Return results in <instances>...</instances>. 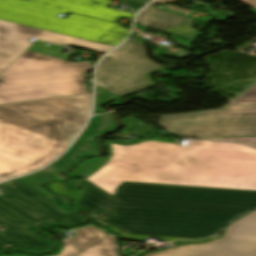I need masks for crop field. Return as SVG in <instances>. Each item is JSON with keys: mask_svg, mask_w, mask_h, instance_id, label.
I'll return each instance as SVG.
<instances>
[{"mask_svg": "<svg viewBox=\"0 0 256 256\" xmlns=\"http://www.w3.org/2000/svg\"><path fill=\"white\" fill-rule=\"evenodd\" d=\"M81 181L84 186L78 191L64 190L60 183L48 185L76 198V205L126 240L200 239L256 207V191L125 182L114 198Z\"/></svg>", "mask_w": 256, "mask_h": 256, "instance_id": "obj_1", "label": "crop field"}, {"mask_svg": "<svg viewBox=\"0 0 256 256\" xmlns=\"http://www.w3.org/2000/svg\"><path fill=\"white\" fill-rule=\"evenodd\" d=\"M111 148L112 158L87 180L112 196L125 181L256 190V149L244 144L146 141Z\"/></svg>", "mask_w": 256, "mask_h": 256, "instance_id": "obj_2", "label": "crop field"}, {"mask_svg": "<svg viewBox=\"0 0 256 256\" xmlns=\"http://www.w3.org/2000/svg\"><path fill=\"white\" fill-rule=\"evenodd\" d=\"M90 106L91 93L0 105V181L58 156L82 129Z\"/></svg>", "mask_w": 256, "mask_h": 256, "instance_id": "obj_3", "label": "crop field"}, {"mask_svg": "<svg viewBox=\"0 0 256 256\" xmlns=\"http://www.w3.org/2000/svg\"><path fill=\"white\" fill-rule=\"evenodd\" d=\"M36 41L1 75L0 104L88 93L90 61H66L63 47Z\"/></svg>", "mask_w": 256, "mask_h": 256, "instance_id": "obj_4", "label": "crop field"}, {"mask_svg": "<svg viewBox=\"0 0 256 256\" xmlns=\"http://www.w3.org/2000/svg\"><path fill=\"white\" fill-rule=\"evenodd\" d=\"M58 179L50 173L37 172L0 184L5 194L0 196V250L11 246H23L33 250H46V240L26 231L20 226L37 227L44 223L59 221L66 225L83 221L77 214L60 210L56 201L67 203L65 198L42 191L39 182ZM2 232L4 234H2Z\"/></svg>", "mask_w": 256, "mask_h": 256, "instance_id": "obj_5", "label": "crop field"}, {"mask_svg": "<svg viewBox=\"0 0 256 256\" xmlns=\"http://www.w3.org/2000/svg\"><path fill=\"white\" fill-rule=\"evenodd\" d=\"M112 0H0V19L102 43L108 30L128 35L120 25L74 14L65 19L58 13L72 12L115 23L134 14L106 8Z\"/></svg>", "mask_w": 256, "mask_h": 256, "instance_id": "obj_6", "label": "crop field"}, {"mask_svg": "<svg viewBox=\"0 0 256 256\" xmlns=\"http://www.w3.org/2000/svg\"><path fill=\"white\" fill-rule=\"evenodd\" d=\"M158 123L180 137L256 136V105L166 116Z\"/></svg>", "mask_w": 256, "mask_h": 256, "instance_id": "obj_7", "label": "crop field"}, {"mask_svg": "<svg viewBox=\"0 0 256 256\" xmlns=\"http://www.w3.org/2000/svg\"><path fill=\"white\" fill-rule=\"evenodd\" d=\"M160 68L145 56L143 45L130 39L104 58L97 73V85L122 95L149 86L144 75Z\"/></svg>", "mask_w": 256, "mask_h": 256, "instance_id": "obj_8", "label": "crop field"}, {"mask_svg": "<svg viewBox=\"0 0 256 256\" xmlns=\"http://www.w3.org/2000/svg\"><path fill=\"white\" fill-rule=\"evenodd\" d=\"M144 256H256V210L238 219L219 239L187 244Z\"/></svg>", "mask_w": 256, "mask_h": 256, "instance_id": "obj_9", "label": "crop field"}, {"mask_svg": "<svg viewBox=\"0 0 256 256\" xmlns=\"http://www.w3.org/2000/svg\"><path fill=\"white\" fill-rule=\"evenodd\" d=\"M28 37L55 44H73L107 52L113 46L93 43L25 25L0 20V73L30 44Z\"/></svg>", "mask_w": 256, "mask_h": 256, "instance_id": "obj_10", "label": "crop field"}, {"mask_svg": "<svg viewBox=\"0 0 256 256\" xmlns=\"http://www.w3.org/2000/svg\"><path fill=\"white\" fill-rule=\"evenodd\" d=\"M116 122L111 113L91 117L88 126L81 134L84 137L82 140H77L71 149L64 154L58 161L51 164L48 168L52 169V172L43 170L44 172H50L63 180L60 174L63 168L69 167L75 160V158L81 153L97 154V150L94 149L87 141L97 132L109 131L116 127Z\"/></svg>", "mask_w": 256, "mask_h": 256, "instance_id": "obj_11", "label": "crop field"}, {"mask_svg": "<svg viewBox=\"0 0 256 256\" xmlns=\"http://www.w3.org/2000/svg\"><path fill=\"white\" fill-rule=\"evenodd\" d=\"M189 19V18H188ZM187 17L176 15L153 7H146L138 16L136 23L161 31L184 23Z\"/></svg>", "mask_w": 256, "mask_h": 256, "instance_id": "obj_12", "label": "crop field"}, {"mask_svg": "<svg viewBox=\"0 0 256 256\" xmlns=\"http://www.w3.org/2000/svg\"><path fill=\"white\" fill-rule=\"evenodd\" d=\"M145 140H149V139H144L135 143H130V144H136V143H141ZM154 141H161V140H154ZM109 142L114 143V144H119V145H130V144H125L122 141H106V144L108 146V155L104 158H97V159H92L89 162L83 163L81 164L77 169H75L74 171L68 172L66 173L67 177H82V178H87L88 176H90L92 173H94L96 170H98L100 167H102L104 164L107 163V161L110 159V157L112 156L111 153V149H110V145ZM167 142V141H165Z\"/></svg>", "mask_w": 256, "mask_h": 256, "instance_id": "obj_13", "label": "crop field"}, {"mask_svg": "<svg viewBox=\"0 0 256 256\" xmlns=\"http://www.w3.org/2000/svg\"><path fill=\"white\" fill-rule=\"evenodd\" d=\"M114 236L108 234L74 256H119Z\"/></svg>", "mask_w": 256, "mask_h": 256, "instance_id": "obj_14", "label": "crop field"}, {"mask_svg": "<svg viewBox=\"0 0 256 256\" xmlns=\"http://www.w3.org/2000/svg\"><path fill=\"white\" fill-rule=\"evenodd\" d=\"M74 231L77 236L75 235L76 237L72 239L81 249L107 234L103 229H97L92 225L85 228L74 229Z\"/></svg>", "mask_w": 256, "mask_h": 256, "instance_id": "obj_15", "label": "crop field"}, {"mask_svg": "<svg viewBox=\"0 0 256 256\" xmlns=\"http://www.w3.org/2000/svg\"><path fill=\"white\" fill-rule=\"evenodd\" d=\"M193 20L194 19L189 18L183 25L161 32L194 42L196 38L203 33L192 28L191 23Z\"/></svg>", "mask_w": 256, "mask_h": 256, "instance_id": "obj_16", "label": "crop field"}, {"mask_svg": "<svg viewBox=\"0 0 256 256\" xmlns=\"http://www.w3.org/2000/svg\"><path fill=\"white\" fill-rule=\"evenodd\" d=\"M244 94V93H243ZM256 104V85L230 105Z\"/></svg>", "mask_w": 256, "mask_h": 256, "instance_id": "obj_17", "label": "crop field"}, {"mask_svg": "<svg viewBox=\"0 0 256 256\" xmlns=\"http://www.w3.org/2000/svg\"><path fill=\"white\" fill-rule=\"evenodd\" d=\"M62 242L64 243V247L58 256H71L79 251V248L71 241L70 238Z\"/></svg>", "mask_w": 256, "mask_h": 256, "instance_id": "obj_18", "label": "crop field"}, {"mask_svg": "<svg viewBox=\"0 0 256 256\" xmlns=\"http://www.w3.org/2000/svg\"><path fill=\"white\" fill-rule=\"evenodd\" d=\"M204 139L240 141L242 143L249 144L256 147V137H215V138H204Z\"/></svg>", "mask_w": 256, "mask_h": 256, "instance_id": "obj_19", "label": "crop field"}, {"mask_svg": "<svg viewBox=\"0 0 256 256\" xmlns=\"http://www.w3.org/2000/svg\"><path fill=\"white\" fill-rule=\"evenodd\" d=\"M113 99H111L110 97H108L105 94H100V93H96V101H95V108L94 111H98L100 113L102 112H106L104 109L100 108L102 105L108 103L109 101H111Z\"/></svg>", "mask_w": 256, "mask_h": 256, "instance_id": "obj_20", "label": "crop field"}, {"mask_svg": "<svg viewBox=\"0 0 256 256\" xmlns=\"http://www.w3.org/2000/svg\"><path fill=\"white\" fill-rule=\"evenodd\" d=\"M121 4L127 2L137 12L150 0H119Z\"/></svg>", "mask_w": 256, "mask_h": 256, "instance_id": "obj_21", "label": "crop field"}, {"mask_svg": "<svg viewBox=\"0 0 256 256\" xmlns=\"http://www.w3.org/2000/svg\"><path fill=\"white\" fill-rule=\"evenodd\" d=\"M239 1L251 6L252 9L249 11L256 14V0H239Z\"/></svg>", "mask_w": 256, "mask_h": 256, "instance_id": "obj_22", "label": "crop field"}, {"mask_svg": "<svg viewBox=\"0 0 256 256\" xmlns=\"http://www.w3.org/2000/svg\"><path fill=\"white\" fill-rule=\"evenodd\" d=\"M62 186L65 188V189H69V190H75L78 188V183L77 181H74V182H67V183H61Z\"/></svg>", "mask_w": 256, "mask_h": 256, "instance_id": "obj_23", "label": "crop field"}, {"mask_svg": "<svg viewBox=\"0 0 256 256\" xmlns=\"http://www.w3.org/2000/svg\"><path fill=\"white\" fill-rule=\"evenodd\" d=\"M161 69H162V68L157 69V70H154V71H151V72H149L148 74L145 75V78H146L147 82L151 85V86L146 87V88H150V87H153V86H154V84L149 80V77H148L149 74H150V73H153V72H155V71L161 70ZM146 88H143V89H146ZM143 89H141V90H143ZM141 90H138V91H141ZM138 91L131 92V93H128V94H125V95H122V96L131 95V94L136 93V92H138Z\"/></svg>", "mask_w": 256, "mask_h": 256, "instance_id": "obj_24", "label": "crop field"}, {"mask_svg": "<svg viewBox=\"0 0 256 256\" xmlns=\"http://www.w3.org/2000/svg\"><path fill=\"white\" fill-rule=\"evenodd\" d=\"M97 92L105 93V94H107L108 96H110V97L113 98V99L122 98V96L117 97V96H115V95H113V94L107 92L106 90L102 89V88L99 87V86H97Z\"/></svg>", "mask_w": 256, "mask_h": 256, "instance_id": "obj_25", "label": "crop field"}, {"mask_svg": "<svg viewBox=\"0 0 256 256\" xmlns=\"http://www.w3.org/2000/svg\"><path fill=\"white\" fill-rule=\"evenodd\" d=\"M212 238H208V239H204V240H200V241H174L172 242L173 244L177 245V244H180V243H190V242H205L207 240H210Z\"/></svg>", "mask_w": 256, "mask_h": 256, "instance_id": "obj_26", "label": "crop field"}, {"mask_svg": "<svg viewBox=\"0 0 256 256\" xmlns=\"http://www.w3.org/2000/svg\"><path fill=\"white\" fill-rule=\"evenodd\" d=\"M168 1H174V0H156L153 3H163V2H168Z\"/></svg>", "mask_w": 256, "mask_h": 256, "instance_id": "obj_27", "label": "crop field"}]
</instances>
